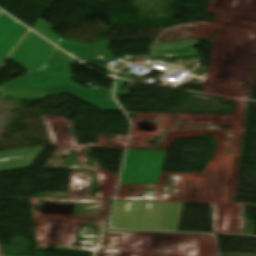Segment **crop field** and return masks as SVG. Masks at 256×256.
Wrapping results in <instances>:
<instances>
[{
	"instance_id": "1",
	"label": "crop field",
	"mask_w": 256,
	"mask_h": 256,
	"mask_svg": "<svg viewBox=\"0 0 256 256\" xmlns=\"http://www.w3.org/2000/svg\"><path fill=\"white\" fill-rule=\"evenodd\" d=\"M182 204L116 201L111 221L115 229L176 231Z\"/></svg>"
},
{
	"instance_id": "2",
	"label": "crop field",
	"mask_w": 256,
	"mask_h": 256,
	"mask_svg": "<svg viewBox=\"0 0 256 256\" xmlns=\"http://www.w3.org/2000/svg\"><path fill=\"white\" fill-rule=\"evenodd\" d=\"M75 62L76 60L70 58L62 51L56 49L43 69L5 86H2L0 89L40 91L67 79L73 78L69 71V67L75 64Z\"/></svg>"
},
{
	"instance_id": "3",
	"label": "crop field",
	"mask_w": 256,
	"mask_h": 256,
	"mask_svg": "<svg viewBox=\"0 0 256 256\" xmlns=\"http://www.w3.org/2000/svg\"><path fill=\"white\" fill-rule=\"evenodd\" d=\"M54 46L40 39L34 33L29 32L21 44L11 54L9 59L34 71L38 70L46 62Z\"/></svg>"
},
{
	"instance_id": "4",
	"label": "crop field",
	"mask_w": 256,
	"mask_h": 256,
	"mask_svg": "<svg viewBox=\"0 0 256 256\" xmlns=\"http://www.w3.org/2000/svg\"><path fill=\"white\" fill-rule=\"evenodd\" d=\"M28 29L4 14L0 16V64Z\"/></svg>"
},
{
	"instance_id": "5",
	"label": "crop field",
	"mask_w": 256,
	"mask_h": 256,
	"mask_svg": "<svg viewBox=\"0 0 256 256\" xmlns=\"http://www.w3.org/2000/svg\"><path fill=\"white\" fill-rule=\"evenodd\" d=\"M42 147L0 152V172L29 168Z\"/></svg>"
},
{
	"instance_id": "6",
	"label": "crop field",
	"mask_w": 256,
	"mask_h": 256,
	"mask_svg": "<svg viewBox=\"0 0 256 256\" xmlns=\"http://www.w3.org/2000/svg\"><path fill=\"white\" fill-rule=\"evenodd\" d=\"M148 54L151 56V58L197 55L192 47L148 52Z\"/></svg>"
},
{
	"instance_id": "7",
	"label": "crop field",
	"mask_w": 256,
	"mask_h": 256,
	"mask_svg": "<svg viewBox=\"0 0 256 256\" xmlns=\"http://www.w3.org/2000/svg\"><path fill=\"white\" fill-rule=\"evenodd\" d=\"M198 41L199 39H192V40H183V41H175V42L157 43V44H152L149 48L151 49V51H155V50L195 46V45H198Z\"/></svg>"
},
{
	"instance_id": "8",
	"label": "crop field",
	"mask_w": 256,
	"mask_h": 256,
	"mask_svg": "<svg viewBox=\"0 0 256 256\" xmlns=\"http://www.w3.org/2000/svg\"><path fill=\"white\" fill-rule=\"evenodd\" d=\"M1 95L22 98L23 100H40L47 95H62V94H48V93H31L13 90L12 92L0 91Z\"/></svg>"
},
{
	"instance_id": "9",
	"label": "crop field",
	"mask_w": 256,
	"mask_h": 256,
	"mask_svg": "<svg viewBox=\"0 0 256 256\" xmlns=\"http://www.w3.org/2000/svg\"><path fill=\"white\" fill-rule=\"evenodd\" d=\"M0 256H3L2 249H1V244H0Z\"/></svg>"
}]
</instances>
